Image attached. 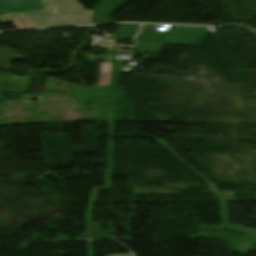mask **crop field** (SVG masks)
I'll return each mask as SVG.
<instances>
[{"label": "crop field", "instance_id": "ac0d7876", "mask_svg": "<svg viewBox=\"0 0 256 256\" xmlns=\"http://www.w3.org/2000/svg\"><path fill=\"white\" fill-rule=\"evenodd\" d=\"M156 25H143L136 41L138 43L197 46L205 41L208 27L171 26L170 31H153Z\"/></svg>", "mask_w": 256, "mask_h": 256}, {"label": "crop field", "instance_id": "5a996713", "mask_svg": "<svg viewBox=\"0 0 256 256\" xmlns=\"http://www.w3.org/2000/svg\"><path fill=\"white\" fill-rule=\"evenodd\" d=\"M112 256H131V254H124V255H112Z\"/></svg>", "mask_w": 256, "mask_h": 256}, {"label": "crop field", "instance_id": "412701ff", "mask_svg": "<svg viewBox=\"0 0 256 256\" xmlns=\"http://www.w3.org/2000/svg\"><path fill=\"white\" fill-rule=\"evenodd\" d=\"M32 78L0 75V91L25 93Z\"/></svg>", "mask_w": 256, "mask_h": 256}, {"label": "crop field", "instance_id": "dd49c442", "mask_svg": "<svg viewBox=\"0 0 256 256\" xmlns=\"http://www.w3.org/2000/svg\"><path fill=\"white\" fill-rule=\"evenodd\" d=\"M140 25L119 24L117 35L134 39Z\"/></svg>", "mask_w": 256, "mask_h": 256}, {"label": "crop field", "instance_id": "d8731c3e", "mask_svg": "<svg viewBox=\"0 0 256 256\" xmlns=\"http://www.w3.org/2000/svg\"><path fill=\"white\" fill-rule=\"evenodd\" d=\"M13 22L14 25L18 28V29H24L23 25L21 24V22L19 21V19L17 18H11V17H1L0 16V23L1 24H6V23H11Z\"/></svg>", "mask_w": 256, "mask_h": 256}, {"label": "crop field", "instance_id": "8a807250", "mask_svg": "<svg viewBox=\"0 0 256 256\" xmlns=\"http://www.w3.org/2000/svg\"><path fill=\"white\" fill-rule=\"evenodd\" d=\"M45 10L8 14L22 15L36 28L57 27L91 23L94 10L85 11L76 0H43ZM56 5L64 13L50 15Z\"/></svg>", "mask_w": 256, "mask_h": 256}, {"label": "crop field", "instance_id": "34b2d1b8", "mask_svg": "<svg viewBox=\"0 0 256 256\" xmlns=\"http://www.w3.org/2000/svg\"><path fill=\"white\" fill-rule=\"evenodd\" d=\"M44 9L42 0H0V14Z\"/></svg>", "mask_w": 256, "mask_h": 256}, {"label": "crop field", "instance_id": "e52e79f7", "mask_svg": "<svg viewBox=\"0 0 256 256\" xmlns=\"http://www.w3.org/2000/svg\"><path fill=\"white\" fill-rule=\"evenodd\" d=\"M101 223H90V239L105 238V233L100 232Z\"/></svg>", "mask_w": 256, "mask_h": 256}, {"label": "crop field", "instance_id": "f4fd0767", "mask_svg": "<svg viewBox=\"0 0 256 256\" xmlns=\"http://www.w3.org/2000/svg\"><path fill=\"white\" fill-rule=\"evenodd\" d=\"M129 0H105L100 4L94 23L110 22L112 12Z\"/></svg>", "mask_w": 256, "mask_h": 256}]
</instances>
